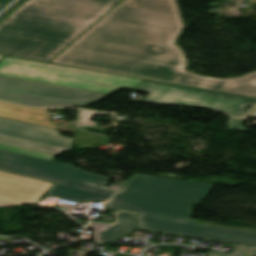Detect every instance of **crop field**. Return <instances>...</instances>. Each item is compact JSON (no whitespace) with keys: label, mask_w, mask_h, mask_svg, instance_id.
<instances>
[{"label":"crop field","mask_w":256,"mask_h":256,"mask_svg":"<svg viewBox=\"0 0 256 256\" xmlns=\"http://www.w3.org/2000/svg\"><path fill=\"white\" fill-rule=\"evenodd\" d=\"M138 2L139 8L115 7L51 62L256 97V85L245 82L256 71L223 80L185 72L183 54L173 45L182 30L175 0ZM227 82L238 86L223 88Z\"/></svg>","instance_id":"1"},{"label":"crop field","mask_w":256,"mask_h":256,"mask_svg":"<svg viewBox=\"0 0 256 256\" xmlns=\"http://www.w3.org/2000/svg\"><path fill=\"white\" fill-rule=\"evenodd\" d=\"M214 186L135 174L105 207L138 212L139 229L256 247V233L202 226L189 219L192 205L200 204Z\"/></svg>","instance_id":"2"},{"label":"crop field","mask_w":256,"mask_h":256,"mask_svg":"<svg viewBox=\"0 0 256 256\" xmlns=\"http://www.w3.org/2000/svg\"><path fill=\"white\" fill-rule=\"evenodd\" d=\"M120 0H28L0 23V54L47 62Z\"/></svg>","instance_id":"3"},{"label":"crop field","mask_w":256,"mask_h":256,"mask_svg":"<svg viewBox=\"0 0 256 256\" xmlns=\"http://www.w3.org/2000/svg\"><path fill=\"white\" fill-rule=\"evenodd\" d=\"M0 170L57 183L47 195L85 202H105L115 191L104 188L109 178L71 165L0 150Z\"/></svg>","instance_id":"4"},{"label":"crop field","mask_w":256,"mask_h":256,"mask_svg":"<svg viewBox=\"0 0 256 256\" xmlns=\"http://www.w3.org/2000/svg\"><path fill=\"white\" fill-rule=\"evenodd\" d=\"M0 76L51 83L107 94L121 87L134 89L142 81L10 57H5L0 61Z\"/></svg>","instance_id":"5"},{"label":"crop field","mask_w":256,"mask_h":256,"mask_svg":"<svg viewBox=\"0 0 256 256\" xmlns=\"http://www.w3.org/2000/svg\"><path fill=\"white\" fill-rule=\"evenodd\" d=\"M136 90L150 93L143 101L209 107L236 117H244L255 106L256 99L187 88L171 84L143 80Z\"/></svg>","instance_id":"6"},{"label":"crop field","mask_w":256,"mask_h":256,"mask_svg":"<svg viewBox=\"0 0 256 256\" xmlns=\"http://www.w3.org/2000/svg\"><path fill=\"white\" fill-rule=\"evenodd\" d=\"M106 94L0 77V100L27 106L85 107Z\"/></svg>","instance_id":"7"},{"label":"crop field","mask_w":256,"mask_h":256,"mask_svg":"<svg viewBox=\"0 0 256 256\" xmlns=\"http://www.w3.org/2000/svg\"><path fill=\"white\" fill-rule=\"evenodd\" d=\"M53 183L0 172V202L37 204Z\"/></svg>","instance_id":"8"},{"label":"crop field","mask_w":256,"mask_h":256,"mask_svg":"<svg viewBox=\"0 0 256 256\" xmlns=\"http://www.w3.org/2000/svg\"><path fill=\"white\" fill-rule=\"evenodd\" d=\"M0 133L71 149L73 139L60 136L58 130L0 117Z\"/></svg>","instance_id":"9"},{"label":"crop field","mask_w":256,"mask_h":256,"mask_svg":"<svg viewBox=\"0 0 256 256\" xmlns=\"http://www.w3.org/2000/svg\"><path fill=\"white\" fill-rule=\"evenodd\" d=\"M89 227L94 228L95 242L106 244L137 228L136 213L116 210L114 224L91 222Z\"/></svg>","instance_id":"10"},{"label":"crop field","mask_w":256,"mask_h":256,"mask_svg":"<svg viewBox=\"0 0 256 256\" xmlns=\"http://www.w3.org/2000/svg\"><path fill=\"white\" fill-rule=\"evenodd\" d=\"M0 116L57 129L51 124L45 109H28L0 102Z\"/></svg>","instance_id":"11"},{"label":"crop field","mask_w":256,"mask_h":256,"mask_svg":"<svg viewBox=\"0 0 256 256\" xmlns=\"http://www.w3.org/2000/svg\"><path fill=\"white\" fill-rule=\"evenodd\" d=\"M0 143L17 146L21 148H26V149H31L35 151L45 152L49 154H55V155H58L62 151L68 150L64 148L37 143V142L9 137L1 134H0Z\"/></svg>","instance_id":"12"},{"label":"crop field","mask_w":256,"mask_h":256,"mask_svg":"<svg viewBox=\"0 0 256 256\" xmlns=\"http://www.w3.org/2000/svg\"><path fill=\"white\" fill-rule=\"evenodd\" d=\"M0 149L12 151V152H16V153H21V154H26V155H31V156H36V157H40V158L50 159V160H54V158L56 157L54 155L30 151V150L12 147V146H8V145H4V144H0Z\"/></svg>","instance_id":"13"},{"label":"crop field","mask_w":256,"mask_h":256,"mask_svg":"<svg viewBox=\"0 0 256 256\" xmlns=\"http://www.w3.org/2000/svg\"><path fill=\"white\" fill-rule=\"evenodd\" d=\"M249 247L236 245L231 254L208 251L206 256H244Z\"/></svg>","instance_id":"14"},{"label":"crop field","mask_w":256,"mask_h":256,"mask_svg":"<svg viewBox=\"0 0 256 256\" xmlns=\"http://www.w3.org/2000/svg\"><path fill=\"white\" fill-rule=\"evenodd\" d=\"M227 124L231 130L248 132V130L245 127H243V119H235V118L230 117Z\"/></svg>","instance_id":"15"},{"label":"crop field","mask_w":256,"mask_h":256,"mask_svg":"<svg viewBox=\"0 0 256 256\" xmlns=\"http://www.w3.org/2000/svg\"><path fill=\"white\" fill-rule=\"evenodd\" d=\"M120 4H126V5H131V6L138 7V2L137 1H133V0H124Z\"/></svg>","instance_id":"16"},{"label":"crop field","mask_w":256,"mask_h":256,"mask_svg":"<svg viewBox=\"0 0 256 256\" xmlns=\"http://www.w3.org/2000/svg\"><path fill=\"white\" fill-rule=\"evenodd\" d=\"M246 256H256V248L255 247H251V249L248 251Z\"/></svg>","instance_id":"17"},{"label":"crop field","mask_w":256,"mask_h":256,"mask_svg":"<svg viewBox=\"0 0 256 256\" xmlns=\"http://www.w3.org/2000/svg\"><path fill=\"white\" fill-rule=\"evenodd\" d=\"M12 0H0V10L5 7L8 3H10Z\"/></svg>","instance_id":"18"},{"label":"crop field","mask_w":256,"mask_h":256,"mask_svg":"<svg viewBox=\"0 0 256 256\" xmlns=\"http://www.w3.org/2000/svg\"><path fill=\"white\" fill-rule=\"evenodd\" d=\"M207 225H214V226L226 227V226L215 225V224H210V223H207ZM227 228H233V229L246 230V229H241V228H238V227H232V226H228ZM247 231H253V232H256L255 230H247Z\"/></svg>","instance_id":"19"},{"label":"crop field","mask_w":256,"mask_h":256,"mask_svg":"<svg viewBox=\"0 0 256 256\" xmlns=\"http://www.w3.org/2000/svg\"><path fill=\"white\" fill-rule=\"evenodd\" d=\"M236 85H237L236 83H228V84L224 85L223 87L235 88Z\"/></svg>","instance_id":"20"},{"label":"crop field","mask_w":256,"mask_h":256,"mask_svg":"<svg viewBox=\"0 0 256 256\" xmlns=\"http://www.w3.org/2000/svg\"><path fill=\"white\" fill-rule=\"evenodd\" d=\"M249 116H256V107L253 109V111L247 117H249Z\"/></svg>","instance_id":"21"},{"label":"crop field","mask_w":256,"mask_h":256,"mask_svg":"<svg viewBox=\"0 0 256 256\" xmlns=\"http://www.w3.org/2000/svg\"><path fill=\"white\" fill-rule=\"evenodd\" d=\"M5 206H15V205L0 203V207H5Z\"/></svg>","instance_id":"22"},{"label":"crop field","mask_w":256,"mask_h":256,"mask_svg":"<svg viewBox=\"0 0 256 256\" xmlns=\"http://www.w3.org/2000/svg\"><path fill=\"white\" fill-rule=\"evenodd\" d=\"M249 83H256V79L251 80Z\"/></svg>","instance_id":"23"},{"label":"crop field","mask_w":256,"mask_h":256,"mask_svg":"<svg viewBox=\"0 0 256 256\" xmlns=\"http://www.w3.org/2000/svg\"><path fill=\"white\" fill-rule=\"evenodd\" d=\"M2 57V55H0V58Z\"/></svg>","instance_id":"24"}]
</instances>
